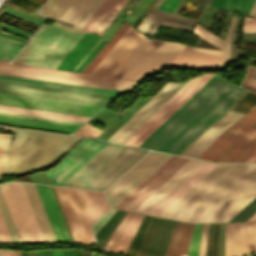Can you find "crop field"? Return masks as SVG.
<instances>
[{
  "label": "crop field",
  "mask_w": 256,
  "mask_h": 256,
  "mask_svg": "<svg viewBox=\"0 0 256 256\" xmlns=\"http://www.w3.org/2000/svg\"><path fill=\"white\" fill-rule=\"evenodd\" d=\"M202 226H203V224H199V225H195V227H194L188 256H198Z\"/></svg>",
  "instance_id": "crop-field-43"
},
{
  "label": "crop field",
  "mask_w": 256,
  "mask_h": 256,
  "mask_svg": "<svg viewBox=\"0 0 256 256\" xmlns=\"http://www.w3.org/2000/svg\"><path fill=\"white\" fill-rule=\"evenodd\" d=\"M117 1L118 0H105L104 3L100 6V8L96 11V13L92 16V18L85 25L83 30L93 32L94 29L98 26V24L102 21V19L111 10V8L115 5V3Z\"/></svg>",
  "instance_id": "crop-field-33"
},
{
  "label": "crop field",
  "mask_w": 256,
  "mask_h": 256,
  "mask_svg": "<svg viewBox=\"0 0 256 256\" xmlns=\"http://www.w3.org/2000/svg\"><path fill=\"white\" fill-rule=\"evenodd\" d=\"M0 92L103 106L111 97L0 82Z\"/></svg>",
  "instance_id": "crop-field-12"
},
{
  "label": "crop field",
  "mask_w": 256,
  "mask_h": 256,
  "mask_svg": "<svg viewBox=\"0 0 256 256\" xmlns=\"http://www.w3.org/2000/svg\"><path fill=\"white\" fill-rule=\"evenodd\" d=\"M0 240H1V242H10L9 238L7 236L6 230L4 228L1 217H0Z\"/></svg>",
  "instance_id": "crop-field-54"
},
{
  "label": "crop field",
  "mask_w": 256,
  "mask_h": 256,
  "mask_svg": "<svg viewBox=\"0 0 256 256\" xmlns=\"http://www.w3.org/2000/svg\"><path fill=\"white\" fill-rule=\"evenodd\" d=\"M256 251V221L226 223L225 256Z\"/></svg>",
  "instance_id": "crop-field-16"
},
{
  "label": "crop field",
  "mask_w": 256,
  "mask_h": 256,
  "mask_svg": "<svg viewBox=\"0 0 256 256\" xmlns=\"http://www.w3.org/2000/svg\"><path fill=\"white\" fill-rule=\"evenodd\" d=\"M256 151V104L216 138L200 159L216 162H245Z\"/></svg>",
  "instance_id": "crop-field-5"
},
{
  "label": "crop field",
  "mask_w": 256,
  "mask_h": 256,
  "mask_svg": "<svg viewBox=\"0 0 256 256\" xmlns=\"http://www.w3.org/2000/svg\"><path fill=\"white\" fill-rule=\"evenodd\" d=\"M241 85L253 91H256V68L255 67H251V66L248 67Z\"/></svg>",
  "instance_id": "crop-field-44"
},
{
  "label": "crop field",
  "mask_w": 256,
  "mask_h": 256,
  "mask_svg": "<svg viewBox=\"0 0 256 256\" xmlns=\"http://www.w3.org/2000/svg\"><path fill=\"white\" fill-rule=\"evenodd\" d=\"M63 256H74L73 249L71 250H62Z\"/></svg>",
  "instance_id": "crop-field-56"
},
{
  "label": "crop field",
  "mask_w": 256,
  "mask_h": 256,
  "mask_svg": "<svg viewBox=\"0 0 256 256\" xmlns=\"http://www.w3.org/2000/svg\"><path fill=\"white\" fill-rule=\"evenodd\" d=\"M0 70L43 75V76H50V77H58V78H65V79H72V80H80V81H87V82H94V83H102V84H109V85H116V86H124V87L130 86L129 84L107 82V81H100V80H93V79H86V78H79V77H72V76H64V75H57V74H50V73H43V72H36V71H28V70H21V69L7 68V67H0Z\"/></svg>",
  "instance_id": "crop-field-36"
},
{
  "label": "crop field",
  "mask_w": 256,
  "mask_h": 256,
  "mask_svg": "<svg viewBox=\"0 0 256 256\" xmlns=\"http://www.w3.org/2000/svg\"><path fill=\"white\" fill-rule=\"evenodd\" d=\"M255 12H256V1H255V4H254V6H253V8H252V10H251L250 15H254Z\"/></svg>",
  "instance_id": "crop-field-60"
},
{
  "label": "crop field",
  "mask_w": 256,
  "mask_h": 256,
  "mask_svg": "<svg viewBox=\"0 0 256 256\" xmlns=\"http://www.w3.org/2000/svg\"><path fill=\"white\" fill-rule=\"evenodd\" d=\"M127 1L128 0H119L112 8V10L108 13V15L104 18V20L100 23V25L96 28L94 33L101 35L105 28L109 25V23L113 20V18L117 15V13L121 10V8Z\"/></svg>",
  "instance_id": "crop-field-39"
},
{
  "label": "crop field",
  "mask_w": 256,
  "mask_h": 256,
  "mask_svg": "<svg viewBox=\"0 0 256 256\" xmlns=\"http://www.w3.org/2000/svg\"><path fill=\"white\" fill-rule=\"evenodd\" d=\"M0 123L72 133L80 125L0 114Z\"/></svg>",
  "instance_id": "crop-field-24"
},
{
  "label": "crop field",
  "mask_w": 256,
  "mask_h": 256,
  "mask_svg": "<svg viewBox=\"0 0 256 256\" xmlns=\"http://www.w3.org/2000/svg\"><path fill=\"white\" fill-rule=\"evenodd\" d=\"M183 225L182 223H175L165 256H174Z\"/></svg>",
  "instance_id": "crop-field-41"
},
{
  "label": "crop field",
  "mask_w": 256,
  "mask_h": 256,
  "mask_svg": "<svg viewBox=\"0 0 256 256\" xmlns=\"http://www.w3.org/2000/svg\"><path fill=\"white\" fill-rule=\"evenodd\" d=\"M78 255L81 256V253L78 251Z\"/></svg>",
  "instance_id": "crop-field-66"
},
{
  "label": "crop field",
  "mask_w": 256,
  "mask_h": 256,
  "mask_svg": "<svg viewBox=\"0 0 256 256\" xmlns=\"http://www.w3.org/2000/svg\"><path fill=\"white\" fill-rule=\"evenodd\" d=\"M116 209L110 208L102 217H100L93 225L94 234L105 224V222L113 215Z\"/></svg>",
  "instance_id": "crop-field-46"
},
{
  "label": "crop field",
  "mask_w": 256,
  "mask_h": 256,
  "mask_svg": "<svg viewBox=\"0 0 256 256\" xmlns=\"http://www.w3.org/2000/svg\"><path fill=\"white\" fill-rule=\"evenodd\" d=\"M0 81L48 87V88H55V89H62V90H69V91H76V92H83V93H90V94H97V95H104V96H111V97H115L119 93H121L119 91H113L110 89H102V88H95V87L57 83V82H50V81H42V80H35V79L5 76V75H0Z\"/></svg>",
  "instance_id": "crop-field-20"
},
{
  "label": "crop field",
  "mask_w": 256,
  "mask_h": 256,
  "mask_svg": "<svg viewBox=\"0 0 256 256\" xmlns=\"http://www.w3.org/2000/svg\"><path fill=\"white\" fill-rule=\"evenodd\" d=\"M0 66H7V67H14V68L28 69V70H36V71H43V72H50V73H57V74H64V75H72V76H79V77H86V78H93V79H100V80H107V81H115V82L129 83V84H133L135 82L132 80H124V79L102 77V76H95V75H88V74H80V73L43 69V68H36V67H29V66H21V65H15V64L5 63V62H0Z\"/></svg>",
  "instance_id": "crop-field-28"
},
{
  "label": "crop field",
  "mask_w": 256,
  "mask_h": 256,
  "mask_svg": "<svg viewBox=\"0 0 256 256\" xmlns=\"http://www.w3.org/2000/svg\"><path fill=\"white\" fill-rule=\"evenodd\" d=\"M181 157L173 155L162 166H160L153 174H151L144 182H142L136 189H134L127 197H125L115 207L123 209L134 198H136L143 190H145L152 182H154L160 175H162L169 167H171Z\"/></svg>",
  "instance_id": "crop-field-26"
},
{
  "label": "crop field",
  "mask_w": 256,
  "mask_h": 256,
  "mask_svg": "<svg viewBox=\"0 0 256 256\" xmlns=\"http://www.w3.org/2000/svg\"><path fill=\"white\" fill-rule=\"evenodd\" d=\"M45 242L56 241L34 184L22 183Z\"/></svg>",
  "instance_id": "crop-field-25"
},
{
  "label": "crop field",
  "mask_w": 256,
  "mask_h": 256,
  "mask_svg": "<svg viewBox=\"0 0 256 256\" xmlns=\"http://www.w3.org/2000/svg\"><path fill=\"white\" fill-rule=\"evenodd\" d=\"M216 165L206 162L148 214L159 216Z\"/></svg>",
  "instance_id": "crop-field-23"
},
{
  "label": "crop field",
  "mask_w": 256,
  "mask_h": 256,
  "mask_svg": "<svg viewBox=\"0 0 256 256\" xmlns=\"http://www.w3.org/2000/svg\"><path fill=\"white\" fill-rule=\"evenodd\" d=\"M247 220H256V212L250 218H248Z\"/></svg>",
  "instance_id": "crop-field-61"
},
{
  "label": "crop field",
  "mask_w": 256,
  "mask_h": 256,
  "mask_svg": "<svg viewBox=\"0 0 256 256\" xmlns=\"http://www.w3.org/2000/svg\"><path fill=\"white\" fill-rule=\"evenodd\" d=\"M0 213H1L3 222L5 224V227L7 229V232L9 234V237H10L11 241L12 242H20L17 235H16V232L14 230V227H13L12 221L10 219L9 213L7 211L5 202L3 200L1 191H0Z\"/></svg>",
  "instance_id": "crop-field-38"
},
{
  "label": "crop field",
  "mask_w": 256,
  "mask_h": 256,
  "mask_svg": "<svg viewBox=\"0 0 256 256\" xmlns=\"http://www.w3.org/2000/svg\"><path fill=\"white\" fill-rule=\"evenodd\" d=\"M189 158L182 157L177 161L171 168H169L162 176H160L153 184H151L145 191H143L136 199H134L124 209L132 211L137 207L143 200H145L152 192H154L161 184H163L169 177H171L178 169H180Z\"/></svg>",
  "instance_id": "crop-field-27"
},
{
  "label": "crop field",
  "mask_w": 256,
  "mask_h": 256,
  "mask_svg": "<svg viewBox=\"0 0 256 256\" xmlns=\"http://www.w3.org/2000/svg\"><path fill=\"white\" fill-rule=\"evenodd\" d=\"M0 104L91 117L101 108L7 94H0Z\"/></svg>",
  "instance_id": "crop-field-15"
},
{
  "label": "crop field",
  "mask_w": 256,
  "mask_h": 256,
  "mask_svg": "<svg viewBox=\"0 0 256 256\" xmlns=\"http://www.w3.org/2000/svg\"><path fill=\"white\" fill-rule=\"evenodd\" d=\"M180 0H164L158 9L173 13Z\"/></svg>",
  "instance_id": "crop-field-49"
},
{
  "label": "crop field",
  "mask_w": 256,
  "mask_h": 256,
  "mask_svg": "<svg viewBox=\"0 0 256 256\" xmlns=\"http://www.w3.org/2000/svg\"><path fill=\"white\" fill-rule=\"evenodd\" d=\"M134 213L130 212V214L128 215L127 219L125 220V222L123 223V225L121 226V228L119 229L118 233L116 234V236L114 237L109 250H114L119 238L121 237L122 233L124 232L125 228L127 227L128 223L130 222L131 218L133 217Z\"/></svg>",
  "instance_id": "crop-field-47"
},
{
  "label": "crop field",
  "mask_w": 256,
  "mask_h": 256,
  "mask_svg": "<svg viewBox=\"0 0 256 256\" xmlns=\"http://www.w3.org/2000/svg\"><path fill=\"white\" fill-rule=\"evenodd\" d=\"M255 17H256V15H255Z\"/></svg>",
  "instance_id": "crop-field-68"
},
{
  "label": "crop field",
  "mask_w": 256,
  "mask_h": 256,
  "mask_svg": "<svg viewBox=\"0 0 256 256\" xmlns=\"http://www.w3.org/2000/svg\"><path fill=\"white\" fill-rule=\"evenodd\" d=\"M153 219H154V217L152 218L151 223H152ZM155 219H156V218H155ZM155 219H154V221H155ZM162 220H163V219H162ZM154 221H153V223H154ZM164 221H165V220H163L162 225H163ZM160 222H161V219L157 218L156 221H155V223H154V225H153V223H152L153 228H152V225H151V223H150V225H151V227H150V225H149L150 230H149V228H148L149 233H148V230H147L148 236H147V233H146L145 238H144V240H143V243H142V245H141V248H140L139 253H138L137 256L140 255L141 249H142V247H143V245H144V242H145V239H146V236H147L145 245H144V247H143V249H142V252H141V255H140V256H142L143 251H144V249H145V246H146V244H147L148 238H149V234H150L151 228H152V231H151V235H150L148 244H147L146 249H145L144 254H143V256H148L149 251H150V248H151V245H152V242H153V239H154V236H155V233H156V231H157V229H158V226H159ZM174 223H175V222H173V221L167 220L166 223H165V226L163 225V226H164V229H163L162 225L160 224L161 227H162V229H163V231H162V229H161L160 226H159V228H160L161 231H162V234H161V231L158 229V230L160 231V233H159V236H158V235H157L158 231H157L156 235L158 236V239H159V237H160V234H161V237H160L159 242H158V239H157L156 236H155V238L157 239L158 244H157V242H156L155 239H154V241H155L156 244H157V247H156L155 243L153 242L154 245H155V247H156V250H155V248H154L155 252H154V250L151 248V249L153 250V252H154V255H153V253L150 251L153 256H164V253H165V250H166V247H167V244H168V241H169V238H170V235H171V232H172ZM152 246H153V245H152ZM153 247H154V246H153ZM149 255H150V254H149ZM150 256H151V255H150Z\"/></svg>",
  "instance_id": "crop-field-22"
},
{
  "label": "crop field",
  "mask_w": 256,
  "mask_h": 256,
  "mask_svg": "<svg viewBox=\"0 0 256 256\" xmlns=\"http://www.w3.org/2000/svg\"><path fill=\"white\" fill-rule=\"evenodd\" d=\"M0 256H14L13 251L0 250Z\"/></svg>",
  "instance_id": "crop-field-55"
},
{
  "label": "crop field",
  "mask_w": 256,
  "mask_h": 256,
  "mask_svg": "<svg viewBox=\"0 0 256 256\" xmlns=\"http://www.w3.org/2000/svg\"><path fill=\"white\" fill-rule=\"evenodd\" d=\"M255 0H213L211 6L249 14Z\"/></svg>",
  "instance_id": "crop-field-32"
},
{
  "label": "crop field",
  "mask_w": 256,
  "mask_h": 256,
  "mask_svg": "<svg viewBox=\"0 0 256 256\" xmlns=\"http://www.w3.org/2000/svg\"><path fill=\"white\" fill-rule=\"evenodd\" d=\"M143 37L131 26L91 73L110 76Z\"/></svg>",
  "instance_id": "crop-field-17"
},
{
  "label": "crop field",
  "mask_w": 256,
  "mask_h": 256,
  "mask_svg": "<svg viewBox=\"0 0 256 256\" xmlns=\"http://www.w3.org/2000/svg\"><path fill=\"white\" fill-rule=\"evenodd\" d=\"M254 162H256V160Z\"/></svg>",
  "instance_id": "crop-field-67"
},
{
  "label": "crop field",
  "mask_w": 256,
  "mask_h": 256,
  "mask_svg": "<svg viewBox=\"0 0 256 256\" xmlns=\"http://www.w3.org/2000/svg\"><path fill=\"white\" fill-rule=\"evenodd\" d=\"M0 74L27 77V78H35V79H42V80H50V81H57V82H65V83H72V84H80V85H87V86H95V87H102V88H110V89H116L119 91H123L124 89H126L124 87H116V86L94 84V83H87V82H80V81H72V80H65V79H58V78H50V77H43V76H35V75H28V74H21V73H13V72H6V71H0Z\"/></svg>",
  "instance_id": "crop-field-35"
},
{
  "label": "crop field",
  "mask_w": 256,
  "mask_h": 256,
  "mask_svg": "<svg viewBox=\"0 0 256 256\" xmlns=\"http://www.w3.org/2000/svg\"><path fill=\"white\" fill-rule=\"evenodd\" d=\"M1 155H2V152H0V163H1Z\"/></svg>",
  "instance_id": "crop-field-65"
},
{
  "label": "crop field",
  "mask_w": 256,
  "mask_h": 256,
  "mask_svg": "<svg viewBox=\"0 0 256 256\" xmlns=\"http://www.w3.org/2000/svg\"><path fill=\"white\" fill-rule=\"evenodd\" d=\"M255 159H256V152L246 162H253Z\"/></svg>",
  "instance_id": "crop-field-59"
},
{
  "label": "crop field",
  "mask_w": 256,
  "mask_h": 256,
  "mask_svg": "<svg viewBox=\"0 0 256 256\" xmlns=\"http://www.w3.org/2000/svg\"><path fill=\"white\" fill-rule=\"evenodd\" d=\"M0 113H2V114H9V115H17V116H24V117H32V118H40V119H47V120H55V121H62V122H70V123L82 124L81 122L66 121V120H59V119H52V118H44V117H37V116H30V115H22V114L8 113V112H0Z\"/></svg>",
  "instance_id": "crop-field-53"
},
{
  "label": "crop field",
  "mask_w": 256,
  "mask_h": 256,
  "mask_svg": "<svg viewBox=\"0 0 256 256\" xmlns=\"http://www.w3.org/2000/svg\"><path fill=\"white\" fill-rule=\"evenodd\" d=\"M144 215L135 213L125 232L123 233L115 251L125 253Z\"/></svg>",
  "instance_id": "crop-field-31"
},
{
  "label": "crop field",
  "mask_w": 256,
  "mask_h": 256,
  "mask_svg": "<svg viewBox=\"0 0 256 256\" xmlns=\"http://www.w3.org/2000/svg\"><path fill=\"white\" fill-rule=\"evenodd\" d=\"M106 144V142L84 139L66 154L57 166L45 171L52 184L61 185Z\"/></svg>",
  "instance_id": "crop-field-13"
},
{
  "label": "crop field",
  "mask_w": 256,
  "mask_h": 256,
  "mask_svg": "<svg viewBox=\"0 0 256 256\" xmlns=\"http://www.w3.org/2000/svg\"><path fill=\"white\" fill-rule=\"evenodd\" d=\"M0 29L15 33V34L27 37V38L30 36V33H28V32H25L20 29H17V28H14V27H11V26H8L5 24H1V23H0ZM0 39L8 41L13 44H16L21 47H23V45L26 42V39H23V38H20V37H17V36L2 32V31H0Z\"/></svg>",
  "instance_id": "crop-field-37"
},
{
  "label": "crop field",
  "mask_w": 256,
  "mask_h": 256,
  "mask_svg": "<svg viewBox=\"0 0 256 256\" xmlns=\"http://www.w3.org/2000/svg\"><path fill=\"white\" fill-rule=\"evenodd\" d=\"M100 132H101V130L86 124L85 126H83L80 130H78L73 135L95 138Z\"/></svg>",
  "instance_id": "crop-field-45"
},
{
  "label": "crop field",
  "mask_w": 256,
  "mask_h": 256,
  "mask_svg": "<svg viewBox=\"0 0 256 256\" xmlns=\"http://www.w3.org/2000/svg\"><path fill=\"white\" fill-rule=\"evenodd\" d=\"M207 227H208V224H204L203 233H202V239H201V245H200V251H199V256H204L205 243H206V235H207Z\"/></svg>",
  "instance_id": "crop-field-52"
},
{
  "label": "crop field",
  "mask_w": 256,
  "mask_h": 256,
  "mask_svg": "<svg viewBox=\"0 0 256 256\" xmlns=\"http://www.w3.org/2000/svg\"><path fill=\"white\" fill-rule=\"evenodd\" d=\"M57 241L70 240L49 186L35 184Z\"/></svg>",
  "instance_id": "crop-field-21"
},
{
  "label": "crop field",
  "mask_w": 256,
  "mask_h": 256,
  "mask_svg": "<svg viewBox=\"0 0 256 256\" xmlns=\"http://www.w3.org/2000/svg\"><path fill=\"white\" fill-rule=\"evenodd\" d=\"M38 256H51V252L50 250L48 251V254H47V251H42V252H37Z\"/></svg>",
  "instance_id": "crop-field-58"
},
{
  "label": "crop field",
  "mask_w": 256,
  "mask_h": 256,
  "mask_svg": "<svg viewBox=\"0 0 256 256\" xmlns=\"http://www.w3.org/2000/svg\"><path fill=\"white\" fill-rule=\"evenodd\" d=\"M151 218L152 217H150V216H146V215L144 216V218H143V220H142V222H141V224H140V226H139V228H138V230H137V232H136V234L126 252V255H128V256H136L137 255Z\"/></svg>",
  "instance_id": "crop-field-34"
},
{
  "label": "crop field",
  "mask_w": 256,
  "mask_h": 256,
  "mask_svg": "<svg viewBox=\"0 0 256 256\" xmlns=\"http://www.w3.org/2000/svg\"><path fill=\"white\" fill-rule=\"evenodd\" d=\"M131 25L126 21L115 35L107 42V44L100 50V52L92 59V61L85 67L82 72L90 73L92 69L99 63V61L106 55V53L113 47V45L120 39V37L127 31Z\"/></svg>",
  "instance_id": "crop-field-29"
},
{
  "label": "crop field",
  "mask_w": 256,
  "mask_h": 256,
  "mask_svg": "<svg viewBox=\"0 0 256 256\" xmlns=\"http://www.w3.org/2000/svg\"><path fill=\"white\" fill-rule=\"evenodd\" d=\"M213 75L204 74L193 78L174 98H172L154 117H152L134 136L125 144L139 146L140 143L155 130L168 116L186 102L203 84Z\"/></svg>",
  "instance_id": "crop-field-14"
},
{
  "label": "crop field",
  "mask_w": 256,
  "mask_h": 256,
  "mask_svg": "<svg viewBox=\"0 0 256 256\" xmlns=\"http://www.w3.org/2000/svg\"><path fill=\"white\" fill-rule=\"evenodd\" d=\"M243 91L244 89L214 75L140 146L178 154L199 131L226 110Z\"/></svg>",
  "instance_id": "crop-field-1"
},
{
  "label": "crop field",
  "mask_w": 256,
  "mask_h": 256,
  "mask_svg": "<svg viewBox=\"0 0 256 256\" xmlns=\"http://www.w3.org/2000/svg\"><path fill=\"white\" fill-rule=\"evenodd\" d=\"M21 242H44L21 183L0 185Z\"/></svg>",
  "instance_id": "crop-field-7"
},
{
  "label": "crop field",
  "mask_w": 256,
  "mask_h": 256,
  "mask_svg": "<svg viewBox=\"0 0 256 256\" xmlns=\"http://www.w3.org/2000/svg\"><path fill=\"white\" fill-rule=\"evenodd\" d=\"M204 163L191 159L133 211L147 214Z\"/></svg>",
  "instance_id": "crop-field-18"
},
{
  "label": "crop field",
  "mask_w": 256,
  "mask_h": 256,
  "mask_svg": "<svg viewBox=\"0 0 256 256\" xmlns=\"http://www.w3.org/2000/svg\"><path fill=\"white\" fill-rule=\"evenodd\" d=\"M171 156V154L150 151L106 190L109 205L114 207Z\"/></svg>",
  "instance_id": "crop-field-8"
},
{
  "label": "crop field",
  "mask_w": 256,
  "mask_h": 256,
  "mask_svg": "<svg viewBox=\"0 0 256 256\" xmlns=\"http://www.w3.org/2000/svg\"><path fill=\"white\" fill-rule=\"evenodd\" d=\"M243 31H245V32H256V19L245 16Z\"/></svg>",
  "instance_id": "crop-field-50"
},
{
  "label": "crop field",
  "mask_w": 256,
  "mask_h": 256,
  "mask_svg": "<svg viewBox=\"0 0 256 256\" xmlns=\"http://www.w3.org/2000/svg\"><path fill=\"white\" fill-rule=\"evenodd\" d=\"M234 20H235V16H232L229 26H228L227 37H226V46H225V62L229 61L230 39H231V33H232V27H233Z\"/></svg>",
  "instance_id": "crop-field-48"
},
{
  "label": "crop field",
  "mask_w": 256,
  "mask_h": 256,
  "mask_svg": "<svg viewBox=\"0 0 256 256\" xmlns=\"http://www.w3.org/2000/svg\"><path fill=\"white\" fill-rule=\"evenodd\" d=\"M53 187L74 241L96 243L89 225L108 209L103 192Z\"/></svg>",
  "instance_id": "crop-field-4"
},
{
  "label": "crop field",
  "mask_w": 256,
  "mask_h": 256,
  "mask_svg": "<svg viewBox=\"0 0 256 256\" xmlns=\"http://www.w3.org/2000/svg\"><path fill=\"white\" fill-rule=\"evenodd\" d=\"M103 1L104 0H50L40 14L82 29Z\"/></svg>",
  "instance_id": "crop-field-10"
},
{
  "label": "crop field",
  "mask_w": 256,
  "mask_h": 256,
  "mask_svg": "<svg viewBox=\"0 0 256 256\" xmlns=\"http://www.w3.org/2000/svg\"><path fill=\"white\" fill-rule=\"evenodd\" d=\"M92 256H100V255H98V254H96V253H93Z\"/></svg>",
  "instance_id": "crop-field-64"
},
{
  "label": "crop field",
  "mask_w": 256,
  "mask_h": 256,
  "mask_svg": "<svg viewBox=\"0 0 256 256\" xmlns=\"http://www.w3.org/2000/svg\"><path fill=\"white\" fill-rule=\"evenodd\" d=\"M1 129L14 130L12 128L0 127ZM12 135L0 134V151H7Z\"/></svg>",
  "instance_id": "crop-field-51"
},
{
  "label": "crop field",
  "mask_w": 256,
  "mask_h": 256,
  "mask_svg": "<svg viewBox=\"0 0 256 256\" xmlns=\"http://www.w3.org/2000/svg\"><path fill=\"white\" fill-rule=\"evenodd\" d=\"M147 151L108 143L62 185L103 190Z\"/></svg>",
  "instance_id": "crop-field-3"
},
{
  "label": "crop field",
  "mask_w": 256,
  "mask_h": 256,
  "mask_svg": "<svg viewBox=\"0 0 256 256\" xmlns=\"http://www.w3.org/2000/svg\"><path fill=\"white\" fill-rule=\"evenodd\" d=\"M256 102V93L249 91L231 110L246 113Z\"/></svg>",
  "instance_id": "crop-field-42"
},
{
  "label": "crop field",
  "mask_w": 256,
  "mask_h": 256,
  "mask_svg": "<svg viewBox=\"0 0 256 256\" xmlns=\"http://www.w3.org/2000/svg\"><path fill=\"white\" fill-rule=\"evenodd\" d=\"M108 40L61 23L44 24L12 62L81 72Z\"/></svg>",
  "instance_id": "crop-field-2"
},
{
  "label": "crop field",
  "mask_w": 256,
  "mask_h": 256,
  "mask_svg": "<svg viewBox=\"0 0 256 256\" xmlns=\"http://www.w3.org/2000/svg\"><path fill=\"white\" fill-rule=\"evenodd\" d=\"M20 49L21 47L0 40V60L9 62Z\"/></svg>",
  "instance_id": "crop-field-40"
},
{
  "label": "crop field",
  "mask_w": 256,
  "mask_h": 256,
  "mask_svg": "<svg viewBox=\"0 0 256 256\" xmlns=\"http://www.w3.org/2000/svg\"><path fill=\"white\" fill-rule=\"evenodd\" d=\"M20 254H21V256H23V254H24V256H27V254L25 252H23V254H22V252H20Z\"/></svg>",
  "instance_id": "crop-field-63"
},
{
  "label": "crop field",
  "mask_w": 256,
  "mask_h": 256,
  "mask_svg": "<svg viewBox=\"0 0 256 256\" xmlns=\"http://www.w3.org/2000/svg\"><path fill=\"white\" fill-rule=\"evenodd\" d=\"M162 0H157L149 12L146 14L144 20L138 26V30L147 34H153L157 25L174 27L180 29L190 30L193 26V20L181 18L171 14H167L156 10Z\"/></svg>",
  "instance_id": "crop-field-19"
},
{
  "label": "crop field",
  "mask_w": 256,
  "mask_h": 256,
  "mask_svg": "<svg viewBox=\"0 0 256 256\" xmlns=\"http://www.w3.org/2000/svg\"><path fill=\"white\" fill-rule=\"evenodd\" d=\"M0 110L85 122L89 118L0 105Z\"/></svg>",
  "instance_id": "crop-field-30"
},
{
  "label": "crop field",
  "mask_w": 256,
  "mask_h": 256,
  "mask_svg": "<svg viewBox=\"0 0 256 256\" xmlns=\"http://www.w3.org/2000/svg\"><path fill=\"white\" fill-rule=\"evenodd\" d=\"M52 256H62L61 250H51Z\"/></svg>",
  "instance_id": "crop-field-57"
},
{
  "label": "crop field",
  "mask_w": 256,
  "mask_h": 256,
  "mask_svg": "<svg viewBox=\"0 0 256 256\" xmlns=\"http://www.w3.org/2000/svg\"><path fill=\"white\" fill-rule=\"evenodd\" d=\"M193 33L224 49V41L196 24ZM224 50L184 46L170 65L204 66L223 63Z\"/></svg>",
  "instance_id": "crop-field-11"
},
{
  "label": "crop field",
  "mask_w": 256,
  "mask_h": 256,
  "mask_svg": "<svg viewBox=\"0 0 256 256\" xmlns=\"http://www.w3.org/2000/svg\"><path fill=\"white\" fill-rule=\"evenodd\" d=\"M182 46L144 37L111 76L137 80L159 66H166Z\"/></svg>",
  "instance_id": "crop-field-6"
},
{
  "label": "crop field",
  "mask_w": 256,
  "mask_h": 256,
  "mask_svg": "<svg viewBox=\"0 0 256 256\" xmlns=\"http://www.w3.org/2000/svg\"><path fill=\"white\" fill-rule=\"evenodd\" d=\"M28 256H34V253L33 252H30V253H27Z\"/></svg>",
  "instance_id": "crop-field-62"
},
{
  "label": "crop field",
  "mask_w": 256,
  "mask_h": 256,
  "mask_svg": "<svg viewBox=\"0 0 256 256\" xmlns=\"http://www.w3.org/2000/svg\"><path fill=\"white\" fill-rule=\"evenodd\" d=\"M190 80L183 84L167 83L108 140L124 144Z\"/></svg>",
  "instance_id": "crop-field-9"
}]
</instances>
